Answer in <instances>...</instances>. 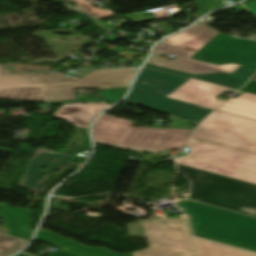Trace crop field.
<instances>
[{
  "instance_id": "obj_1",
  "label": "crop field",
  "mask_w": 256,
  "mask_h": 256,
  "mask_svg": "<svg viewBox=\"0 0 256 256\" xmlns=\"http://www.w3.org/2000/svg\"><path fill=\"white\" fill-rule=\"evenodd\" d=\"M192 182L187 200L173 205L190 215L195 236L256 252V185L176 164Z\"/></svg>"
},
{
  "instance_id": "obj_2",
  "label": "crop field",
  "mask_w": 256,
  "mask_h": 256,
  "mask_svg": "<svg viewBox=\"0 0 256 256\" xmlns=\"http://www.w3.org/2000/svg\"><path fill=\"white\" fill-rule=\"evenodd\" d=\"M193 150L176 163L256 184V121L216 111L187 144Z\"/></svg>"
},
{
  "instance_id": "obj_3",
  "label": "crop field",
  "mask_w": 256,
  "mask_h": 256,
  "mask_svg": "<svg viewBox=\"0 0 256 256\" xmlns=\"http://www.w3.org/2000/svg\"><path fill=\"white\" fill-rule=\"evenodd\" d=\"M179 219L153 217L128 224L129 237L144 236L149 248L123 256H256V254L225 245L195 238L189 227L188 217ZM37 240L77 256H121L104 248H88L43 229Z\"/></svg>"
},
{
  "instance_id": "obj_4",
  "label": "crop field",
  "mask_w": 256,
  "mask_h": 256,
  "mask_svg": "<svg viewBox=\"0 0 256 256\" xmlns=\"http://www.w3.org/2000/svg\"><path fill=\"white\" fill-rule=\"evenodd\" d=\"M255 71L256 68L241 65L231 74L193 75L146 64L128 98L135 100L136 104L140 106L150 107L154 110L186 119L201 121L213 109L166 96L191 77L238 89L250 79Z\"/></svg>"
},
{
  "instance_id": "obj_5",
  "label": "crop field",
  "mask_w": 256,
  "mask_h": 256,
  "mask_svg": "<svg viewBox=\"0 0 256 256\" xmlns=\"http://www.w3.org/2000/svg\"><path fill=\"white\" fill-rule=\"evenodd\" d=\"M0 99L50 102L77 99L72 89L128 87L138 68L92 71L83 78L66 79L65 73L1 75Z\"/></svg>"
},
{
  "instance_id": "obj_6",
  "label": "crop field",
  "mask_w": 256,
  "mask_h": 256,
  "mask_svg": "<svg viewBox=\"0 0 256 256\" xmlns=\"http://www.w3.org/2000/svg\"><path fill=\"white\" fill-rule=\"evenodd\" d=\"M133 123L103 115L93 125L92 136L95 141L125 149L164 151L182 148L192 132L181 129L131 127Z\"/></svg>"
},
{
  "instance_id": "obj_7",
  "label": "crop field",
  "mask_w": 256,
  "mask_h": 256,
  "mask_svg": "<svg viewBox=\"0 0 256 256\" xmlns=\"http://www.w3.org/2000/svg\"><path fill=\"white\" fill-rule=\"evenodd\" d=\"M219 31L198 23L187 31L170 37L157 45L153 53L156 55H171L178 57L174 62L151 56L148 63L184 71L193 74L226 72L231 73L239 65L226 64L221 66L190 59L197 51L210 42Z\"/></svg>"
},
{
  "instance_id": "obj_8",
  "label": "crop field",
  "mask_w": 256,
  "mask_h": 256,
  "mask_svg": "<svg viewBox=\"0 0 256 256\" xmlns=\"http://www.w3.org/2000/svg\"><path fill=\"white\" fill-rule=\"evenodd\" d=\"M192 58L216 65L238 63L256 67V41L218 34Z\"/></svg>"
},
{
  "instance_id": "obj_9",
  "label": "crop field",
  "mask_w": 256,
  "mask_h": 256,
  "mask_svg": "<svg viewBox=\"0 0 256 256\" xmlns=\"http://www.w3.org/2000/svg\"><path fill=\"white\" fill-rule=\"evenodd\" d=\"M226 89L236 91L225 86L191 78L168 97L215 109L224 102V100L215 97Z\"/></svg>"
},
{
  "instance_id": "obj_10",
  "label": "crop field",
  "mask_w": 256,
  "mask_h": 256,
  "mask_svg": "<svg viewBox=\"0 0 256 256\" xmlns=\"http://www.w3.org/2000/svg\"><path fill=\"white\" fill-rule=\"evenodd\" d=\"M54 158V161L51 159ZM78 158L67 156L59 153L50 152H40L29 160L28 170L26 171L23 180L21 181V187L28 189L31 192H37L40 188L39 181L41 180L43 174L52 173L59 169L66 163H73ZM47 167L48 170L44 171L39 168Z\"/></svg>"
},
{
  "instance_id": "obj_11",
  "label": "crop field",
  "mask_w": 256,
  "mask_h": 256,
  "mask_svg": "<svg viewBox=\"0 0 256 256\" xmlns=\"http://www.w3.org/2000/svg\"><path fill=\"white\" fill-rule=\"evenodd\" d=\"M0 218L10 228V235L22 239H30V211L25 208L0 204Z\"/></svg>"
},
{
  "instance_id": "obj_12",
  "label": "crop field",
  "mask_w": 256,
  "mask_h": 256,
  "mask_svg": "<svg viewBox=\"0 0 256 256\" xmlns=\"http://www.w3.org/2000/svg\"><path fill=\"white\" fill-rule=\"evenodd\" d=\"M100 111L102 110L82 104H69L64 105L54 115L78 127L87 129L91 119Z\"/></svg>"
},
{
  "instance_id": "obj_13",
  "label": "crop field",
  "mask_w": 256,
  "mask_h": 256,
  "mask_svg": "<svg viewBox=\"0 0 256 256\" xmlns=\"http://www.w3.org/2000/svg\"><path fill=\"white\" fill-rule=\"evenodd\" d=\"M217 110L256 120V95L244 92L240 97L230 99Z\"/></svg>"
},
{
  "instance_id": "obj_14",
  "label": "crop field",
  "mask_w": 256,
  "mask_h": 256,
  "mask_svg": "<svg viewBox=\"0 0 256 256\" xmlns=\"http://www.w3.org/2000/svg\"><path fill=\"white\" fill-rule=\"evenodd\" d=\"M67 1H71L75 4H77V6H76L77 9H79L93 17H96V18L115 16V14H113L107 10L95 8L91 5H89V2H87L86 0H67Z\"/></svg>"
},
{
  "instance_id": "obj_15",
  "label": "crop field",
  "mask_w": 256,
  "mask_h": 256,
  "mask_svg": "<svg viewBox=\"0 0 256 256\" xmlns=\"http://www.w3.org/2000/svg\"><path fill=\"white\" fill-rule=\"evenodd\" d=\"M19 242H22L24 244L23 245L18 244ZM25 245L26 243L21 240L0 235V256L11 255Z\"/></svg>"
},
{
  "instance_id": "obj_16",
  "label": "crop field",
  "mask_w": 256,
  "mask_h": 256,
  "mask_svg": "<svg viewBox=\"0 0 256 256\" xmlns=\"http://www.w3.org/2000/svg\"><path fill=\"white\" fill-rule=\"evenodd\" d=\"M128 90V88H114L100 90L103 101L114 104L117 102Z\"/></svg>"
},
{
  "instance_id": "obj_17",
  "label": "crop field",
  "mask_w": 256,
  "mask_h": 256,
  "mask_svg": "<svg viewBox=\"0 0 256 256\" xmlns=\"http://www.w3.org/2000/svg\"><path fill=\"white\" fill-rule=\"evenodd\" d=\"M194 3L204 14H206L212 9L220 7V5L215 0H198L194 1Z\"/></svg>"
},
{
  "instance_id": "obj_18",
  "label": "crop field",
  "mask_w": 256,
  "mask_h": 256,
  "mask_svg": "<svg viewBox=\"0 0 256 256\" xmlns=\"http://www.w3.org/2000/svg\"><path fill=\"white\" fill-rule=\"evenodd\" d=\"M256 78V76H255ZM242 91L250 92L256 94V80H251L244 88L241 89Z\"/></svg>"
},
{
  "instance_id": "obj_19",
  "label": "crop field",
  "mask_w": 256,
  "mask_h": 256,
  "mask_svg": "<svg viewBox=\"0 0 256 256\" xmlns=\"http://www.w3.org/2000/svg\"><path fill=\"white\" fill-rule=\"evenodd\" d=\"M93 23H94L95 25H97L98 27H100V28H102V29H104V30H106V31H108V32H110V33L113 32L114 30H116V28H113V27H111V26H108V25L102 23V22L99 21V20L94 21Z\"/></svg>"
},
{
  "instance_id": "obj_20",
  "label": "crop field",
  "mask_w": 256,
  "mask_h": 256,
  "mask_svg": "<svg viewBox=\"0 0 256 256\" xmlns=\"http://www.w3.org/2000/svg\"><path fill=\"white\" fill-rule=\"evenodd\" d=\"M254 15H256V0L244 4Z\"/></svg>"
},
{
  "instance_id": "obj_21",
  "label": "crop field",
  "mask_w": 256,
  "mask_h": 256,
  "mask_svg": "<svg viewBox=\"0 0 256 256\" xmlns=\"http://www.w3.org/2000/svg\"><path fill=\"white\" fill-rule=\"evenodd\" d=\"M19 256H33V255L23 252ZM50 256H73V255H70V254H67V253H64V252L58 250L57 252H55L54 254H52Z\"/></svg>"
},
{
  "instance_id": "obj_22",
  "label": "crop field",
  "mask_w": 256,
  "mask_h": 256,
  "mask_svg": "<svg viewBox=\"0 0 256 256\" xmlns=\"http://www.w3.org/2000/svg\"><path fill=\"white\" fill-rule=\"evenodd\" d=\"M79 102L81 101H100L99 98H92V95L88 96H77Z\"/></svg>"
},
{
  "instance_id": "obj_23",
  "label": "crop field",
  "mask_w": 256,
  "mask_h": 256,
  "mask_svg": "<svg viewBox=\"0 0 256 256\" xmlns=\"http://www.w3.org/2000/svg\"><path fill=\"white\" fill-rule=\"evenodd\" d=\"M85 105H89V106L99 108V109H102V110L111 106V105H107V104H104V103H99V104H97V103H85Z\"/></svg>"
},
{
  "instance_id": "obj_24",
  "label": "crop field",
  "mask_w": 256,
  "mask_h": 256,
  "mask_svg": "<svg viewBox=\"0 0 256 256\" xmlns=\"http://www.w3.org/2000/svg\"><path fill=\"white\" fill-rule=\"evenodd\" d=\"M69 102H78V101L77 100H71V101L50 102V103H45V104L50 105V104H60V103H69Z\"/></svg>"
},
{
  "instance_id": "obj_25",
  "label": "crop field",
  "mask_w": 256,
  "mask_h": 256,
  "mask_svg": "<svg viewBox=\"0 0 256 256\" xmlns=\"http://www.w3.org/2000/svg\"><path fill=\"white\" fill-rule=\"evenodd\" d=\"M0 233L9 235V228L0 227Z\"/></svg>"
},
{
  "instance_id": "obj_26",
  "label": "crop field",
  "mask_w": 256,
  "mask_h": 256,
  "mask_svg": "<svg viewBox=\"0 0 256 256\" xmlns=\"http://www.w3.org/2000/svg\"><path fill=\"white\" fill-rule=\"evenodd\" d=\"M124 101L135 103L134 101L128 99H125Z\"/></svg>"
}]
</instances>
